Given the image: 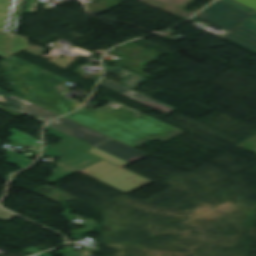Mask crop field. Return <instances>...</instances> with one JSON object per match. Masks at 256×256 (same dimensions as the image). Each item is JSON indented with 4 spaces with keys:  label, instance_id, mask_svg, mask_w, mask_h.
Wrapping results in <instances>:
<instances>
[{
    "label": "crop field",
    "instance_id": "8a807250",
    "mask_svg": "<svg viewBox=\"0 0 256 256\" xmlns=\"http://www.w3.org/2000/svg\"><path fill=\"white\" fill-rule=\"evenodd\" d=\"M49 133L63 141L57 143V148L47 146L44 154L61 158L57 161L48 182L56 183L79 171L89 177L114 187L122 192L130 193L152 181L130 171L113 165L88 152L93 147L51 127H46Z\"/></svg>",
    "mask_w": 256,
    "mask_h": 256
},
{
    "label": "crop field",
    "instance_id": "ac0d7876",
    "mask_svg": "<svg viewBox=\"0 0 256 256\" xmlns=\"http://www.w3.org/2000/svg\"><path fill=\"white\" fill-rule=\"evenodd\" d=\"M66 117L132 147L152 138L165 141L182 133L117 102L95 111L83 108Z\"/></svg>",
    "mask_w": 256,
    "mask_h": 256
},
{
    "label": "crop field",
    "instance_id": "34b2d1b8",
    "mask_svg": "<svg viewBox=\"0 0 256 256\" xmlns=\"http://www.w3.org/2000/svg\"><path fill=\"white\" fill-rule=\"evenodd\" d=\"M13 59L23 79L27 82L36 103L61 115L78 107L65 101L61 96V93L68 89L64 86L63 78L57 77L46 70L26 63L16 57H13Z\"/></svg>",
    "mask_w": 256,
    "mask_h": 256
},
{
    "label": "crop field",
    "instance_id": "412701ff",
    "mask_svg": "<svg viewBox=\"0 0 256 256\" xmlns=\"http://www.w3.org/2000/svg\"><path fill=\"white\" fill-rule=\"evenodd\" d=\"M104 69L105 71H108L120 78H123L129 74H131L132 72L118 66L116 68H112L110 66L104 65ZM146 81V78L137 74V73H133L132 75H130L129 77L125 78L124 80H122V84L116 83L114 81L108 80L103 78L102 82L100 83V85L113 90L121 95L130 97L156 111H159L165 115H168L169 113H171L172 111H174V109L164 106L144 95H141L139 93H136L134 91H132L133 88L137 87L138 85L144 83Z\"/></svg>",
    "mask_w": 256,
    "mask_h": 256
},
{
    "label": "crop field",
    "instance_id": "f4fd0767",
    "mask_svg": "<svg viewBox=\"0 0 256 256\" xmlns=\"http://www.w3.org/2000/svg\"><path fill=\"white\" fill-rule=\"evenodd\" d=\"M248 16H250V14L218 0L209 8L202 11L200 14L189 21H194L201 18L230 32Z\"/></svg>",
    "mask_w": 256,
    "mask_h": 256
},
{
    "label": "crop field",
    "instance_id": "dd49c442",
    "mask_svg": "<svg viewBox=\"0 0 256 256\" xmlns=\"http://www.w3.org/2000/svg\"><path fill=\"white\" fill-rule=\"evenodd\" d=\"M49 126L55 128L57 130H60L66 134H69L75 138H78L84 142H87L93 146H95L96 144H98L102 141L110 139L109 137H107L101 133H98V132L91 130L87 127H84L80 124H77L65 117L51 122L49 124Z\"/></svg>",
    "mask_w": 256,
    "mask_h": 256
},
{
    "label": "crop field",
    "instance_id": "e52e79f7",
    "mask_svg": "<svg viewBox=\"0 0 256 256\" xmlns=\"http://www.w3.org/2000/svg\"><path fill=\"white\" fill-rule=\"evenodd\" d=\"M0 103H3L9 107L22 111L38 120L47 122L59 115L34 105L14 94H10L2 89H0Z\"/></svg>",
    "mask_w": 256,
    "mask_h": 256
},
{
    "label": "crop field",
    "instance_id": "d8731c3e",
    "mask_svg": "<svg viewBox=\"0 0 256 256\" xmlns=\"http://www.w3.org/2000/svg\"><path fill=\"white\" fill-rule=\"evenodd\" d=\"M97 148L106 151L112 155H115L121 159H124L130 163L148 155L144 152H141L135 148H132L128 145H125L121 142H118L114 139H111L99 146Z\"/></svg>",
    "mask_w": 256,
    "mask_h": 256
},
{
    "label": "crop field",
    "instance_id": "5a996713",
    "mask_svg": "<svg viewBox=\"0 0 256 256\" xmlns=\"http://www.w3.org/2000/svg\"><path fill=\"white\" fill-rule=\"evenodd\" d=\"M223 39L256 54V33L248 29L238 26Z\"/></svg>",
    "mask_w": 256,
    "mask_h": 256
},
{
    "label": "crop field",
    "instance_id": "3316defc",
    "mask_svg": "<svg viewBox=\"0 0 256 256\" xmlns=\"http://www.w3.org/2000/svg\"><path fill=\"white\" fill-rule=\"evenodd\" d=\"M1 63L6 71V73L4 74V77L9 87L11 88L12 92L30 101V98L28 97L26 91L24 90L22 83L19 80L16 72L10 70L11 63L9 62V60L6 59Z\"/></svg>",
    "mask_w": 256,
    "mask_h": 256
},
{
    "label": "crop field",
    "instance_id": "28ad6ade",
    "mask_svg": "<svg viewBox=\"0 0 256 256\" xmlns=\"http://www.w3.org/2000/svg\"><path fill=\"white\" fill-rule=\"evenodd\" d=\"M8 132L11 133L12 135L7 140L11 141L13 145H15V146L29 145L32 147L31 151H33L35 153L39 152L40 146H39V143L36 142L37 140L35 138H33L19 130H16V129H11Z\"/></svg>",
    "mask_w": 256,
    "mask_h": 256
},
{
    "label": "crop field",
    "instance_id": "d1516ede",
    "mask_svg": "<svg viewBox=\"0 0 256 256\" xmlns=\"http://www.w3.org/2000/svg\"><path fill=\"white\" fill-rule=\"evenodd\" d=\"M24 0H14L12 10L9 16V20L6 26V32L15 33V29L18 23V19L21 13V9L23 6Z\"/></svg>",
    "mask_w": 256,
    "mask_h": 256
},
{
    "label": "crop field",
    "instance_id": "22f410ed",
    "mask_svg": "<svg viewBox=\"0 0 256 256\" xmlns=\"http://www.w3.org/2000/svg\"><path fill=\"white\" fill-rule=\"evenodd\" d=\"M228 4H231L239 9H242L250 14L254 13L255 11L233 1V0H222ZM241 26L245 27V28H248L254 32H256V13L254 15H252L250 18H248L246 21H244Z\"/></svg>",
    "mask_w": 256,
    "mask_h": 256
},
{
    "label": "crop field",
    "instance_id": "cbeb9de0",
    "mask_svg": "<svg viewBox=\"0 0 256 256\" xmlns=\"http://www.w3.org/2000/svg\"><path fill=\"white\" fill-rule=\"evenodd\" d=\"M7 157L5 159L6 163L18 165L19 168H24L27 165L31 164L33 161L24 158L22 155L15 154L13 152L7 151Z\"/></svg>",
    "mask_w": 256,
    "mask_h": 256
},
{
    "label": "crop field",
    "instance_id": "5142ce71",
    "mask_svg": "<svg viewBox=\"0 0 256 256\" xmlns=\"http://www.w3.org/2000/svg\"><path fill=\"white\" fill-rule=\"evenodd\" d=\"M11 0H0V30L3 31Z\"/></svg>",
    "mask_w": 256,
    "mask_h": 256
},
{
    "label": "crop field",
    "instance_id": "d9b57169",
    "mask_svg": "<svg viewBox=\"0 0 256 256\" xmlns=\"http://www.w3.org/2000/svg\"><path fill=\"white\" fill-rule=\"evenodd\" d=\"M256 11V0H235Z\"/></svg>",
    "mask_w": 256,
    "mask_h": 256
},
{
    "label": "crop field",
    "instance_id": "733c2abd",
    "mask_svg": "<svg viewBox=\"0 0 256 256\" xmlns=\"http://www.w3.org/2000/svg\"><path fill=\"white\" fill-rule=\"evenodd\" d=\"M15 216L16 215H13V214H11V213H9V212H7V211H5V210L0 208V219H2V220H9V219H11V218H13Z\"/></svg>",
    "mask_w": 256,
    "mask_h": 256
},
{
    "label": "crop field",
    "instance_id": "4a817a6b",
    "mask_svg": "<svg viewBox=\"0 0 256 256\" xmlns=\"http://www.w3.org/2000/svg\"><path fill=\"white\" fill-rule=\"evenodd\" d=\"M0 109L3 110V111H5V112H7V113H10V114H12V115H14V116H16V117L23 116V115H21V114L15 112V111H13V110H10V109H8V108L2 106V105H0Z\"/></svg>",
    "mask_w": 256,
    "mask_h": 256
},
{
    "label": "crop field",
    "instance_id": "bc2a9ffb",
    "mask_svg": "<svg viewBox=\"0 0 256 256\" xmlns=\"http://www.w3.org/2000/svg\"><path fill=\"white\" fill-rule=\"evenodd\" d=\"M37 256H52V255H50V254L44 252V253H42V254H40V255H37Z\"/></svg>",
    "mask_w": 256,
    "mask_h": 256
},
{
    "label": "crop field",
    "instance_id": "214f88e0",
    "mask_svg": "<svg viewBox=\"0 0 256 256\" xmlns=\"http://www.w3.org/2000/svg\"><path fill=\"white\" fill-rule=\"evenodd\" d=\"M62 1H58V0H55L54 2H52L53 4H60Z\"/></svg>",
    "mask_w": 256,
    "mask_h": 256
}]
</instances>
